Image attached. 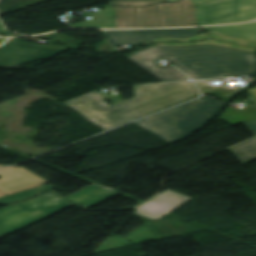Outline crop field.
Wrapping results in <instances>:
<instances>
[{
  "label": "crop field",
  "instance_id": "obj_19",
  "mask_svg": "<svg viewBox=\"0 0 256 256\" xmlns=\"http://www.w3.org/2000/svg\"><path fill=\"white\" fill-rule=\"evenodd\" d=\"M163 0H110V6H144L162 3Z\"/></svg>",
  "mask_w": 256,
  "mask_h": 256
},
{
  "label": "crop field",
  "instance_id": "obj_28",
  "mask_svg": "<svg viewBox=\"0 0 256 256\" xmlns=\"http://www.w3.org/2000/svg\"><path fill=\"white\" fill-rule=\"evenodd\" d=\"M1 2V1H0Z\"/></svg>",
  "mask_w": 256,
  "mask_h": 256
},
{
  "label": "crop field",
  "instance_id": "obj_14",
  "mask_svg": "<svg viewBox=\"0 0 256 256\" xmlns=\"http://www.w3.org/2000/svg\"><path fill=\"white\" fill-rule=\"evenodd\" d=\"M203 93L215 96L225 102H229L235 95L239 94L246 88H234L231 89L226 85L214 86L211 84V80L197 81L196 82Z\"/></svg>",
  "mask_w": 256,
  "mask_h": 256
},
{
  "label": "crop field",
  "instance_id": "obj_4",
  "mask_svg": "<svg viewBox=\"0 0 256 256\" xmlns=\"http://www.w3.org/2000/svg\"><path fill=\"white\" fill-rule=\"evenodd\" d=\"M226 105L203 96L134 123L171 144L205 127Z\"/></svg>",
  "mask_w": 256,
  "mask_h": 256
},
{
  "label": "crop field",
  "instance_id": "obj_12",
  "mask_svg": "<svg viewBox=\"0 0 256 256\" xmlns=\"http://www.w3.org/2000/svg\"><path fill=\"white\" fill-rule=\"evenodd\" d=\"M118 194H120V193L117 191H114V190L106 188V187H102L98 184H93V185H91L81 191H78L74 194H71L65 198L76 205H79V204L85 205L82 208L86 209V208L93 206L109 197H112V196H115Z\"/></svg>",
  "mask_w": 256,
  "mask_h": 256
},
{
  "label": "crop field",
  "instance_id": "obj_5",
  "mask_svg": "<svg viewBox=\"0 0 256 256\" xmlns=\"http://www.w3.org/2000/svg\"><path fill=\"white\" fill-rule=\"evenodd\" d=\"M73 205L50 191L0 210V237Z\"/></svg>",
  "mask_w": 256,
  "mask_h": 256
},
{
  "label": "crop field",
  "instance_id": "obj_11",
  "mask_svg": "<svg viewBox=\"0 0 256 256\" xmlns=\"http://www.w3.org/2000/svg\"><path fill=\"white\" fill-rule=\"evenodd\" d=\"M191 199L166 189L163 193L138 208L137 213L158 220Z\"/></svg>",
  "mask_w": 256,
  "mask_h": 256
},
{
  "label": "crop field",
  "instance_id": "obj_16",
  "mask_svg": "<svg viewBox=\"0 0 256 256\" xmlns=\"http://www.w3.org/2000/svg\"><path fill=\"white\" fill-rule=\"evenodd\" d=\"M230 151L244 164L256 160V138L243 143Z\"/></svg>",
  "mask_w": 256,
  "mask_h": 256
},
{
  "label": "crop field",
  "instance_id": "obj_10",
  "mask_svg": "<svg viewBox=\"0 0 256 256\" xmlns=\"http://www.w3.org/2000/svg\"><path fill=\"white\" fill-rule=\"evenodd\" d=\"M0 191L9 195L48 183L23 167L0 169Z\"/></svg>",
  "mask_w": 256,
  "mask_h": 256
},
{
  "label": "crop field",
  "instance_id": "obj_17",
  "mask_svg": "<svg viewBox=\"0 0 256 256\" xmlns=\"http://www.w3.org/2000/svg\"><path fill=\"white\" fill-rule=\"evenodd\" d=\"M55 188V186H50V185H42L39 187H35L26 191H22L16 194H12L9 196H4L0 198V203L3 205L13 203L16 201L24 200L30 197H33L41 192L47 191L49 189Z\"/></svg>",
  "mask_w": 256,
  "mask_h": 256
},
{
  "label": "crop field",
  "instance_id": "obj_22",
  "mask_svg": "<svg viewBox=\"0 0 256 256\" xmlns=\"http://www.w3.org/2000/svg\"><path fill=\"white\" fill-rule=\"evenodd\" d=\"M194 6L201 5V4H206V3H211L219 0H191Z\"/></svg>",
  "mask_w": 256,
  "mask_h": 256
},
{
  "label": "crop field",
  "instance_id": "obj_18",
  "mask_svg": "<svg viewBox=\"0 0 256 256\" xmlns=\"http://www.w3.org/2000/svg\"><path fill=\"white\" fill-rule=\"evenodd\" d=\"M191 44H214V45H220V46H225L230 48L256 52V48L233 45V44H229V43L217 41V40H208V41L199 42V43H156V45H164V46H183V45H191Z\"/></svg>",
  "mask_w": 256,
  "mask_h": 256
},
{
  "label": "crop field",
  "instance_id": "obj_3",
  "mask_svg": "<svg viewBox=\"0 0 256 256\" xmlns=\"http://www.w3.org/2000/svg\"><path fill=\"white\" fill-rule=\"evenodd\" d=\"M204 78L256 74V55L214 45L159 46Z\"/></svg>",
  "mask_w": 256,
  "mask_h": 256
},
{
  "label": "crop field",
  "instance_id": "obj_8",
  "mask_svg": "<svg viewBox=\"0 0 256 256\" xmlns=\"http://www.w3.org/2000/svg\"><path fill=\"white\" fill-rule=\"evenodd\" d=\"M112 45L140 44L160 37L188 38L201 34L198 28L103 31Z\"/></svg>",
  "mask_w": 256,
  "mask_h": 256
},
{
  "label": "crop field",
  "instance_id": "obj_27",
  "mask_svg": "<svg viewBox=\"0 0 256 256\" xmlns=\"http://www.w3.org/2000/svg\"><path fill=\"white\" fill-rule=\"evenodd\" d=\"M0 167H3V166H0Z\"/></svg>",
  "mask_w": 256,
  "mask_h": 256
},
{
  "label": "crop field",
  "instance_id": "obj_26",
  "mask_svg": "<svg viewBox=\"0 0 256 256\" xmlns=\"http://www.w3.org/2000/svg\"><path fill=\"white\" fill-rule=\"evenodd\" d=\"M4 194L2 192H0V196H3Z\"/></svg>",
  "mask_w": 256,
  "mask_h": 256
},
{
  "label": "crop field",
  "instance_id": "obj_15",
  "mask_svg": "<svg viewBox=\"0 0 256 256\" xmlns=\"http://www.w3.org/2000/svg\"><path fill=\"white\" fill-rule=\"evenodd\" d=\"M210 37L218 39V40L230 42V43H233V44H239V45L256 47V43L248 42V41H244V40H239V39H233V38L224 37V36L219 35V34H217L215 32H210V33H207V34L197 35L195 37L188 38V39L161 38V39L153 40V41H150V42H147V43H143V45L147 46V45H149V43H152V42L200 41V40L210 39Z\"/></svg>",
  "mask_w": 256,
  "mask_h": 256
},
{
  "label": "crop field",
  "instance_id": "obj_9",
  "mask_svg": "<svg viewBox=\"0 0 256 256\" xmlns=\"http://www.w3.org/2000/svg\"><path fill=\"white\" fill-rule=\"evenodd\" d=\"M61 53L44 47L9 40L0 47V66L19 67L25 62L49 58Z\"/></svg>",
  "mask_w": 256,
  "mask_h": 256
},
{
  "label": "crop field",
  "instance_id": "obj_1",
  "mask_svg": "<svg viewBox=\"0 0 256 256\" xmlns=\"http://www.w3.org/2000/svg\"><path fill=\"white\" fill-rule=\"evenodd\" d=\"M135 98L108 107L99 91L62 103L103 130L200 95L192 82L133 86Z\"/></svg>",
  "mask_w": 256,
  "mask_h": 256
},
{
  "label": "crop field",
  "instance_id": "obj_7",
  "mask_svg": "<svg viewBox=\"0 0 256 256\" xmlns=\"http://www.w3.org/2000/svg\"><path fill=\"white\" fill-rule=\"evenodd\" d=\"M126 58L132 60L134 63L142 67L144 70H146L162 82L181 81L188 79V77H186L176 68L172 66L161 67L154 62L163 58L177 66L179 69L184 71L193 79H202V77H200L194 71L189 69L183 63H181L154 44L149 46L147 49L133 53Z\"/></svg>",
  "mask_w": 256,
  "mask_h": 256
},
{
  "label": "crop field",
  "instance_id": "obj_21",
  "mask_svg": "<svg viewBox=\"0 0 256 256\" xmlns=\"http://www.w3.org/2000/svg\"><path fill=\"white\" fill-rule=\"evenodd\" d=\"M247 92L251 95L248 99L256 105V88L247 90Z\"/></svg>",
  "mask_w": 256,
  "mask_h": 256
},
{
  "label": "crop field",
  "instance_id": "obj_13",
  "mask_svg": "<svg viewBox=\"0 0 256 256\" xmlns=\"http://www.w3.org/2000/svg\"><path fill=\"white\" fill-rule=\"evenodd\" d=\"M202 29L205 32L215 31L224 36L256 42V23L238 26H217Z\"/></svg>",
  "mask_w": 256,
  "mask_h": 256
},
{
  "label": "crop field",
  "instance_id": "obj_20",
  "mask_svg": "<svg viewBox=\"0 0 256 256\" xmlns=\"http://www.w3.org/2000/svg\"><path fill=\"white\" fill-rule=\"evenodd\" d=\"M102 44L103 46L97 48L98 52H109L113 50L112 46H110L106 40Z\"/></svg>",
  "mask_w": 256,
  "mask_h": 256
},
{
  "label": "crop field",
  "instance_id": "obj_6",
  "mask_svg": "<svg viewBox=\"0 0 256 256\" xmlns=\"http://www.w3.org/2000/svg\"><path fill=\"white\" fill-rule=\"evenodd\" d=\"M198 25L256 20V0H224L195 7Z\"/></svg>",
  "mask_w": 256,
  "mask_h": 256
},
{
  "label": "crop field",
  "instance_id": "obj_2",
  "mask_svg": "<svg viewBox=\"0 0 256 256\" xmlns=\"http://www.w3.org/2000/svg\"><path fill=\"white\" fill-rule=\"evenodd\" d=\"M93 19L72 24L75 28L174 27L197 25L190 0L145 7H108L85 13Z\"/></svg>",
  "mask_w": 256,
  "mask_h": 256
},
{
  "label": "crop field",
  "instance_id": "obj_24",
  "mask_svg": "<svg viewBox=\"0 0 256 256\" xmlns=\"http://www.w3.org/2000/svg\"><path fill=\"white\" fill-rule=\"evenodd\" d=\"M5 41H6V39H0V44L5 42Z\"/></svg>",
  "mask_w": 256,
  "mask_h": 256
},
{
  "label": "crop field",
  "instance_id": "obj_23",
  "mask_svg": "<svg viewBox=\"0 0 256 256\" xmlns=\"http://www.w3.org/2000/svg\"><path fill=\"white\" fill-rule=\"evenodd\" d=\"M246 125L254 132V134L256 135V120L246 123Z\"/></svg>",
  "mask_w": 256,
  "mask_h": 256
},
{
  "label": "crop field",
  "instance_id": "obj_25",
  "mask_svg": "<svg viewBox=\"0 0 256 256\" xmlns=\"http://www.w3.org/2000/svg\"><path fill=\"white\" fill-rule=\"evenodd\" d=\"M165 2H172V1H176V0H164Z\"/></svg>",
  "mask_w": 256,
  "mask_h": 256
}]
</instances>
